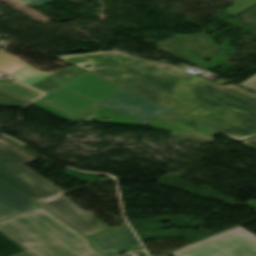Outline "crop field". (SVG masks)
I'll list each match as a JSON object with an SVG mask.
<instances>
[{
  "label": "crop field",
  "mask_w": 256,
  "mask_h": 256,
  "mask_svg": "<svg viewBox=\"0 0 256 256\" xmlns=\"http://www.w3.org/2000/svg\"><path fill=\"white\" fill-rule=\"evenodd\" d=\"M56 57L235 141L256 136V95L235 85L116 51Z\"/></svg>",
  "instance_id": "1"
},
{
  "label": "crop field",
  "mask_w": 256,
  "mask_h": 256,
  "mask_svg": "<svg viewBox=\"0 0 256 256\" xmlns=\"http://www.w3.org/2000/svg\"><path fill=\"white\" fill-rule=\"evenodd\" d=\"M47 212L40 208L1 221L0 231L35 256H103L85 236Z\"/></svg>",
  "instance_id": "2"
},
{
  "label": "crop field",
  "mask_w": 256,
  "mask_h": 256,
  "mask_svg": "<svg viewBox=\"0 0 256 256\" xmlns=\"http://www.w3.org/2000/svg\"><path fill=\"white\" fill-rule=\"evenodd\" d=\"M0 72L7 73L46 94L65 86L98 103L122 90L75 66L56 73L40 72L1 50Z\"/></svg>",
  "instance_id": "3"
},
{
  "label": "crop field",
  "mask_w": 256,
  "mask_h": 256,
  "mask_svg": "<svg viewBox=\"0 0 256 256\" xmlns=\"http://www.w3.org/2000/svg\"><path fill=\"white\" fill-rule=\"evenodd\" d=\"M37 158L39 157L0 137L1 180L34 201L64 193L23 165Z\"/></svg>",
  "instance_id": "4"
},
{
  "label": "crop field",
  "mask_w": 256,
  "mask_h": 256,
  "mask_svg": "<svg viewBox=\"0 0 256 256\" xmlns=\"http://www.w3.org/2000/svg\"><path fill=\"white\" fill-rule=\"evenodd\" d=\"M254 235V234H253ZM238 227L182 249L174 256H256V237Z\"/></svg>",
  "instance_id": "5"
},
{
  "label": "crop field",
  "mask_w": 256,
  "mask_h": 256,
  "mask_svg": "<svg viewBox=\"0 0 256 256\" xmlns=\"http://www.w3.org/2000/svg\"><path fill=\"white\" fill-rule=\"evenodd\" d=\"M31 105L70 122L99 104L62 87Z\"/></svg>",
  "instance_id": "6"
},
{
  "label": "crop field",
  "mask_w": 256,
  "mask_h": 256,
  "mask_svg": "<svg viewBox=\"0 0 256 256\" xmlns=\"http://www.w3.org/2000/svg\"><path fill=\"white\" fill-rule=\"evenodd\" d=\"M40 204L85 235L110 229L63 195Z\"/></svg>",
  "instance_id": "7"
},
{
  "label": "crop field",
  "mask_w": 256,
  "mask_h": 256,
  "mask_svg": "<svg viewBox=\"0 0 256 256\" xmlns=\"http://www.w3.org/2000/svg\"><path fill=\"white\" fill-rule=\"evenodd\" d=\"M101 104L143 123L169 111L126 90L110 97Z\"/></svg>",
  "instance_id": "8"
},
{
  "label": "crop field",
  "mask_w": 256,
  "mask_h": 256,
  "mask_svg": "<svg viewBox=\"0 0 256 256\" xmlns=\"http://www.w3.org/2000/svg\"><path fill=\"white\" fill-rule=\"evenodd\" d=\"M93 247L107 256L140 246L128 226L88 237ZM147 256V255H145Z\"/></svg>",
  "instance_id": "9"
},
{
  "label": "crop field",
  "mask_w": 256,
  "mask_h": 256,
  "mask_svg": "<svg viewBox=\"0 0 256 256\" xmlns=\"http://www.w3.org/2000/svg\"><path fill=\"white\" fill-rule=\"evenodd\" d=\"M37 208V205L0 181V221Z\"/></svg>",
  "instance_id": "10"
},
{
  "label": "crop field",
  "mask_w": 256,
  "mask_h": 256,
  "mask_svg": "<svg viewBox=\"0 0 256 256\" xmlns=\"http://www.w3.org/2000/svg\"><path fill=\"white\" fill-rule=\"evenodd\" d=\"M0 90L11 94L21 100L24 101H30L40 95H42V93L32 90L26 86H23L15 81L8 83V84H1L0 83Z\"/></svg>",
  "instance_id": "11"
},
{
  "label": "crop field",
  "mask_w": 256,
  "mask_h": 256,
  "mask_svg": "<svg viewBox=\"0 0 256 256\" xmlns=\"http://www.w3.org/2000/svg\"><path fill=\"white\" fill-rule=\"evenodd\" d=\"M25 103L0 91V106L5 107H20Z\"/></svg>",
  "instance_id": "12"
},
{
  "label": "crop field",
  "mask_w": 256,
  "mask_h": 256,
  "mask_svg": "<svg viewBox=\"0 0 256 256\" xmlns=\"http://www.w3.org/2000/svg\"><path fill=\"white\" fill-rule=\"evenodd\" d=\"M248 89H251L256 92V75L248 79L247 81L240 84Z\"/></svg>",
  "instance_id": "13"
},
{
  "label": "crop field",
  "mask_w": 256,
  "mask_h": 256,
  "mask_svg": "<svg viewBox=\"0 0 256 256\" xmlns=\"http://www.w3.org/2000/svg\"><path fill=\"white\" fill-rule=\"evenodd\" d=\"M238 142L256 150V137L249 138V139L242 140V141H238Z\"/></svg>",
  "instance_id": "14"
},
{
  "label": "crop field",
  "mask_w": 256,
  "mask_h": 256,
  "mask_svg": "<svg viewBox=\"0 0 256 256\" xmlns=\"http://www.w3.org/2000/svg\"><path fill=\"white\" fill-rule=\"evenodd\" d=\"M24 4H41V3H45L49 0H18Z\"/></svg>",
  "instance_id": "15"
},
{
  "label": "crop field",
  "mask_w": 256,
  "mask_h": 256,
  "mask_svg": "<svg viewBox=\"0 0 256 256\" xmlns=\"http://www.w3.org/2000/svg\"><path fill=\"white\" fill-rule=\"evenodd\" d=\"M245 205H247L251 208H255L256 207V201L250 200L247 203H245Z\"/></svg>",
  "instance_id": "16"
},
{
  "label": "crop field",
  "mask_w": 256,
  "mask_h": 256,
  "mask_svg": "<svg viewBox=\"0 0 256 256\" xmlns=\"http://www.w3.org/2000/svg\"><path fill=\"white\" fill-rule=\"evenodd\" d=\"M14 256H31V255L29 253H27L26 251H24L22 253L14 255Z\"/></svg>",
  "instance_id": "17"
},
{
  "label": "crop field",
  "mask_w": 256,
  "mask_h": 256,
  "mask_svg": "<svg viewBox=\"0 0 256 256\" xmlns=\"http://www.w3.org/2000/svg\"><path fill=\"white\" fill-rule=\"evenodd\" d=\"M237 1H239V0H230V2H233V3L237 2Z\"/></svg>",
  "instance_id": "18"
}]
</instances>
